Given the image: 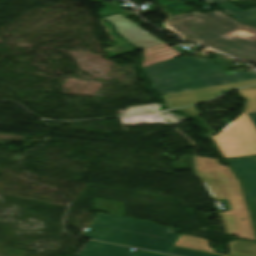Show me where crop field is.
Segmentation results:
<instances>
[{"instance_id":"obj_11","label":"crop field","mask_w":256,"mask_h":256,"mask_svg":"<svg viewBox=\"0 0 256 256\" xmlns=\"http://www.w3.org/2000/svg\"><path fill=\"white\" fill-rule=\"evenodd\" d=\"M206 1L210 3L219 4L221 9L224 12L228 13L229 15L235 17L236 19L242 22L256 25V8L248 9L242 12L239 9H237L235 6L227 3L224 0H206Z\"/></svg>"},{"instance_id":"obj_10","label":"crop field","mask_w":256,"mask_h":256,"mask_svg":"<svg viewBox=\"0 0 256 256\" xmlns=\"http://www.w3.org/2000/svg\"><path fill=\"white\" fill-rule=\"evenodd\" d=\"M177 55L180 54L164 43L144 48V59L141 67L168 60Z\"/></svg>"},{"instance_id":"obj_2","label":"crop field","mask_w":256,"mask_h":256,"mask_svg":"<svg viewBox=\"0 0 256 256\" xmlns=\"http://www.w3.org/2000/svg\"><path fill=\"white\" fill-rule=\"evenodd\" d=\"M85 237L166 253L178 235L155 223L99 213Z\"/></svg>"},{"instance_id":"obj_6","label":"crop field","mask_w":256,"mask_h":256,"mask_svg":"<svg viewBox=\"0 0 256 256\" xmlns=\"http://www.w3.org/2000/svg\"><path fill=\"white\" fill-rule=\"evenodd\" d=\"M254 83H256V80L203 88V89L170 94V95H164L163 97L166 100L167 107L169 109H173V108H178V107L186 106L189 104L209 100L211 98H214L222 94L223 91L232 90L240 86L254 84Z\"/></svg>"},{"instance_id":"obj_20","label":"crop field","mask_w":256,"mask_h":256,"mask_svg":"<svg viewBox=\"0 0 256 256\" xmlns=\"http://www.w3.org/2000/svg\"><path fill=\"white\" fill-rule=\"evenodd\" d=\"M248 204H249V208H250L251 215H252L254 225H255V229H256V200L252 201V202H249Z\"/></svg>"},{"instance_id":"obj_21","label":"crop field","mask_w":256,"mask_h":256,"mask_svg":"<svg viewBox=\"0 0 256 256\" xmlns=\"http://www.w3.org/2000/svg\"><path fill=\"white\" fill-rule=\"evenodd\" d=\"M154 123H164L162 119H160L157 113L150 114Z\"/></svg>"},{"instance_id":"obj_18","label":"crop field","mask_w":256,"mask_h":256,"mask_svg":"<svg viewBox=\"0 0 256 256\" xmlns=\"http://www.w3.org/2000/svg\"><path fill=\"white\" fill-rule=\"evenodd\" d=\"M161 116L173 121L172 123H170L172 125L180 123L189 118V117H185V116H181V115H177V114H173V113H161Z\"/></svg>"},{"instance_id":"obj_5","label":"crop field","mask_w":256,"mask_h":256,"mask_svg":"<svg viewBox=\"0 0 256 256\" xmlns=\"http://www.w3.org/2000/svg\"><path fill=\"white\" fill-rule=\"evenodd\" d=\"M250 79H256V75L252 71L233 74L229 76H226L224 73H218V74H212V75L193 78L191 80L173 84L155 91L158 94L163 95V94L193 90V89H198L203 87H209L214 85H220V84H226V83H232V82H238V81H244V80H250Z\"/></svg>"},{"instance_id":"obj_15","label":"crop field","mask_w":256,"mask_h":256,"mask_svg":"<svg viewBox=\"0 0 256 256\" xmlns=\"http://www.w3.org/2000/svg\"><path fill=\"white\" fill-rule=\"evenodd\" d=\"M148 115H137V116H129L119 118L123 126L127 125H135V124H143L146 123V119H148Z\"/></svg>"},{"instance_id":"obj_17","label":"crop field","mask_w":256,"mask_h":256,"mask_svg":"<svg viewBox=\"0 0 256 256\" xmlns=\"http://www.w3.org/2000/svg\"><path fill=\"white\" fill-rule=\"evenodd\" d=\"M169 253L175 254V255H181V256H212L211 254L195 252V251H190V250H185V249H180L175 247H172Z\"/></svg>"},{"instance_id":"obj_8","label":"crop field","mask_w":256,"mask_h":256,"mask_svg":"<svg viewBox=\"0 0 256 256\" xmlns=\"http://www.w3.org/2000/svg\"><path fill=\"white\" fill-rule=\"evenodd\" d=\"M238 178L241 180L247 200L256 199V159L253 157L227 160Z\"/></svg>"},{"instance_id":"obj_12","label":"crop field","mask_w":256,"mask_h":256,"mask_svg":"<svg viewBox=\"0 0 256 256\" xmlns=\"http://www.w3.org/2000/svg\"><path fill=\"white\" fill-rule=\"evenodd\" d=\"M105 31L107 32L108 36L115 42L114 47L104 49V51L110 56L113 57L115 55L123 54L126 52H130L133 50H137L135 47L130 45L129 43L125 42L118 36H116L111 29V26H109L107 23H105L103 20H100Z\"/></svg>"},{"instance_id":"obj_13","label":"crop field","mask_w":256,"mask_h":256,"mask_svg":"<svg viewBox=\"0 0 256 256\" xmlns=\"http://www.w3.org/2000/svg\"><path fill=\"white\" fill-rule=\"evenodd\" d=\"M232 255L256 256V243L245 241H231L228 243Z\"/></svg>"},{"instance_id":"obj_7","label":"crop field","mask_w":256,"mask_h":256,"mask_svg":"<svg viewBox=\"0 0 256 256\" xmlns=\"http://www.w3.org/2000/svg\"><path fill=\"white\" fill-rule=\"evenodd\" d=\"M105 19L114 24L118 34L128 39L131 43L141 49L162 43L140 26L119 14L105 17Z\"/></svg>"},{"instance_id":"obj_22","label":"crop field","mask_w":256,"mask_h":256,"mask_svg":"<svg viewBox=\"0 0 256 256\" xmlns=\"http://www.w3.org/2000/svg\"><path fill=\"white\" fill-rule=\"evenodd\" d=\"M136 256H163V255H159V254H154V253H149V252H144V251H141L138 255ZM168 256V255H166Z\"/></svg>"},{"instance_id":"obj_19","label":"crop field","mask_w":256,"mask_h":256,"mask_svg":"<svg viewBox=\"0 0 256 256\" xmlns=\"http://www.w3.org/2000/svg\"><path fill=\"white\" fill-rule=\"evenodd\" d=\"M181 111L185 112L186 115H190V116L201 115V113L195 108V106L189 107V108H185V109H181Z\"/></svg>"},{"instance_id":"obj_4","label":"crop field","mask_w":256,"mask_h":256,"mask_svg":"<svg viewBox=\"0 0 256 256\" xmlns=\"http://www.w3.org/2000/svg\"><path fill=\"white\" fill-rule=\"evenodd\" d=\"M208 62H212V63L198 65V66L170 72L181 67L208 63ZM159 65H162V66L158 67ZM142 70L150 79L152 83L151 88L153 90H155L158 87L169 85L187 78H193L201 75L222 72L220 67L217 66L212 60L199 58V57H188V56H183L180 58H176L173 60L156 64L153 66H149ZM166 72H170V73H166ZM163 73H166V74H163ZM159 74H163V75H159ZM156 75H159V76H156ZM152 76H156V77H152Z\"/></svg>"},{"instance_id":"obj_16","label":"crop field","mask_w":256,"mask_h":256,"mask_svg":"<svg viewBox=\"0 0 256 256\" xmlns=\"http://www.w3.org/2000/svg\"><path fill=\"white\" fill-rule=\"evenodd\" d=\"M160 108L157 106V104L153 105H145V106H135V107H129L126 110V113L118 114H133V113H142V112H150V111H158Z\"/></svg>"},{"instance_id":"obj_9","label":"crop field","mask_w":256,"mask_h":256,"mask_svg":"<svg viewBox=\"0 0 256 256\" xmlns=\"http://www.w3.org/2000/svg\"><path fill=\"white\" fill-rule=\"evenodd\" d=\"M89 240L75 256H133L139 250Z\"/></svg>"},{"instance_id":"obj_1","label":"crop field","mask_w":256,"mask_h":256,"mask_svg":"<svg viewBox=\"0 0 256 256\" xmlns=\"http://www.w3.org/2000/svg\"><path fill=\"white\" fill-rule=\"evenodd\" d=\"M168 24L190 41L235 57L256 60V39L249 42L223 36L239 26L254 31L256 28L241 24L218 10L203 15L196 11L184 13L175 16Z\"/></svg>"},{"instance_id":"obj_3","label":"crop field","mask_w":256,"mask_h":256,"mask_svg":"<svg viewBox=\"0 0 256 256\" xmlns=\"http://www.w3.org/2000/svg\"><path fill=\"white\" fill-rule=\"evenodd\" d=\"M238 92L245 98L244 111L218 134L209 136L225 158L256 154V86Z\"/></svg>"},{"instance_id":"obj_14","label":"crop field","mask_w":256,"mask_h":256,"mask_svg":"<svg viewBox=\"0 0 256 256\" xmlns=\"http://www.w3.org/2000/svg\"><path fill=\"white\" fill-rule=\"evenodd\" d=\"M175 245L214 253V249L209 248L207 241L204 239L181 235Z\"/></svg>"}]
</instances>
